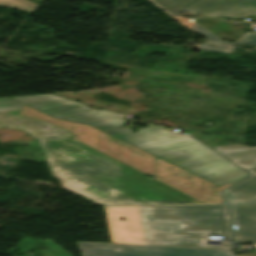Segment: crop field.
<instances>
[{"mask_svg":"<svg viewBox=\"0 0 256 256\" xmlns=\"http://www.w3.org/2000/svg\"><path fill=\"white\" fill-rule=\"evenodd\" d=\"M38 141L62 186L101 205L200 203L70 137Z\"/></svg>","mask_w":256,"mask_h":256,"instance_id":"obj_1","label":"crop field"},{"mask_svg":"<svg viewBox=\"0 0 256 256\" xmlns=\"http://www.w3.org/2000/svg\"><path fill=\"white\" fill-rule=\"evenodd\" d=\"M12 98L54 117L93 125L219 186L233 184L247 175L190 137L154 126L143 128L135 133L129 130L130 128H121L119 125L124 123L121 119L124 115L105 110L84 113L92 109L50 94ZM74 105L80 107L71 108ZM81 109L84 110L80 111Z\"/></svg>","mask_w":256,"mask_h":256,"instance_id":"obj_2","label":"crop field"},{"mask_svg":"<svg viewBox=\"0 0 256 256\" xmlns=\"http://www.w3.org/2000/svg\"><path fill=\"white\" fill-rule=\"evenodd\" d=\"M105 212L112 243L232 249L207 245L208 235L232 241L226 205L107 207Z\"/></svg>","mask_w":256,"mask_h":256,"instance_id":"obj_3","label":"crop field"},{"mask_svg":"<svg viewBox=\"0 0 256 256\" xmlns=\"http://www.w3.org/2000/svg\"><path fill=\"white\" fill-rule=\"evenodd\" d=\"M19 115L51 123L70 133L72 138L95 148L145 174L204 203L230 184L222 187L202 180L159 158L125 144L91 126L62 121L24 106Z\"/></svg>","mask_w":256,"mask_h":256,"instance_id":"obj_4","label":"crop field"},{"mask_svg":"<svg viewBox=\"0 0 256 256\" xmlns=\"http://www.w3.org/2000/svg\"><path fill=\"white\" fill-rule=\"evenodd\" d=\"M214 151L251 173L221 193L232 211L236 243H256V147L242 144L215 147Z\"/></svg>","mask_w":256,"mask_h":256,"instance_id":"obj_5","label":"crop field"},{"mask_svg":"<svg viewBox=\"0 0 256 256\" xmlns=\"http://www.w3.org/2000/svg\"><path fill=\"white\" fill-rule=\"evenodd\" d=\"M77 243L82 256H232V250Z\"/></svg>","mask_w":256,"mask_h":256,"instance_id":"obj_6","label":"crop field"},{"mask_svg":"<svg viewBox=\"0 0 256 256\" xmlns=\"http://www.w3.org/2000/svg\"><path fill=\"white\" fill-rule=\"evenodd\" d=\"M172 15L182 12L244 17L256 14V0H153Z\"/></svg>","mask_w":256,"mask_h":256,"instance_id":"obj_7","label":"crop field"},{"mask_svg":"<svg viewBox=\"0 0 256 256\" xmlns=\"http://www.w3.org/2000/svg\"><path fill=\"white\" fill-rule=\"evenodd\" d=\"M195 33H200L204 37L207 38V41L209 42H215V43H222V44H250V45H256V33H250L245 32L236 42L228 43L223 42L216 38L214 35H212L210 32H208L206 29H204L199 24L195 23L192 29Z\"/></svg>","mask_w":256,"mask_h":256,"instance_id":"obj_8","label":"crop field"},{"mask_svg":"<svg viewBox=\"0 0 256 256\" xmlns=\"http://www.w3.org/2000/svg\"><path fill=\"white\" fill-rule=\"evenodd\" d=\"M0 5L17 7L28 12H32L36 4L25 0H0Z\"/></svg>","mask_w":256,"mask_h":256,"instance_id":"obj_9","label":"crop field"},{"mask_svg":"<svg viewBox=\"0 0 256 256\" xmlns=\"http://www.w3.org/2000/svg\"><path fill=\"white\" fill-rule=\"evenodd\" d=\"M22 104L8 98H0V111L21 109Z\"/></svg>","mask_w":256,"mask_h":256,"instance_id":"obj_10","label":"crop field"},{"mask_svg":"<svg viewBox=\"0 0 256 256\" xmlns=\"http://www.w3.org/2000/svg\"><path fill=\"white\" fill-rule=\"evenodd\" d=\"M207 44H210V43L199 44V48L203 49V50L223 52V53H231V51L233 49V47H226V46L217 45V44H212V45H217V47H209V46H206Z\"/></svg>","mask_w":256,"mask_h":256,"instance_id":"obj_11","label":"crop field"},{"mask_svg":"<svg viewBox=\"0 0 256 256\" xmlns=\"http://www.w3.org/2000/svg\"><path fill=\"white\" fill-rule=\"evenodd\" d=\"M174 19H176L180 24H182L183 26H185V27H187L188 29L191 30L192 26H190L188 23H186L185 21H183V20H182L183 18H174ZM182 22H184V23H182Z\"/></svg>","mask_w":256,"mask_h":256,"instance_id":"obj_12","label":"crop field"},{"mask_svg":"<svg viewBox=\"0 0 256 256\" xmlns=\"http://www.w3.org/2000/svg\"><path fill=\"white\" fill-rule=\"evenodd\" d=\"M236 256H256V253H251V254H241V255H236Z\"/></svg>","mask_w":256,"mask_h":256,"instance_id":"obj_13","label":"crop field"}]
</instances>
